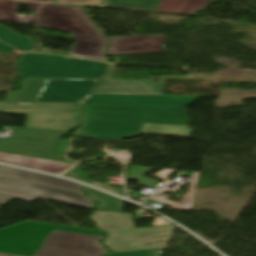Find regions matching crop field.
<instances>
[{
  "label": "crop field",
  "mask_w": 256,
  "mask_h": 256,
  "mask_svg": "<svg viewBox=\"0 0 256 256\" xmlns=\"http://www.w3.org/2000/svg\"><path fill=\"white\" fill-rule=\"evenodd\" d=\"M58 2H65V3H78V4H92L98 5L100 0H57Z\"/></svg>",
  "instance_id": "4177f3b9"
},
{
  "label": "crop field",
  "mask_w": 256,
  "mask_h": 256,
  "mask_svg": "<svg viewBox=\"0 0 256 256\" xmlns=\"http://www.w3.org/2000/svg\"><path fill=\"white\" fill-rule=\"evenodd\" d=\"M22 55L18 61L20 78L99 79L108 65L58 55Z\"/></svg>",
  "instance_id": "f4fd0767"
},
{
  "label": "crop field",
  "mask_w": 256,
  "mask_h": 256,
  "mask_svg": "<svg viewBox=\"0 0 256 256\" xmlns=\"http://www.w3.org/2000/svg\"><path fill=\"white\" fill-rule=\"evenodd\" d=\"M47 79H23V89L8 92L3 103L34 104Z\"/></svg>",
  "instance_id": "22f410ed"
},
{
  "label": "crop field",
  "mask_w": 256,
  "mask_h": 256,
  "mask_svg": "<svg viewBox=\"0 0 256 256\" xmlns=\"http://www.w3.org/2000/svg\"><path fill=\"white\" fill-rule=\"evenodd\" d=\"M36 1H49V2H54V0H36Z\"/></svg>",
  "instance_id": "bd1437ed"
},
{
  "label": "crop field",
  "mask_w": 256,
  "mask_h": 256,
  "mask_svg": "<svg viewBox=\"0 0 256 256\" xmlns=\"http://www.w3.org/2000/svg\"><path fill=\"white\" fill-rule=\"evenodd\" d=\"M209 5V0H161L156 11L194 14Z\"/></svg>",
  "instance_id": "cbeb9de0"
},
{
  "label": "crop field",
  "mask_w": 256,
  "mask_h": 256,
  "mask_svg": "<svg viewBox=\"0 0 256 256\" xmlns=\"http://www.w3.org/2000/svg\"><path fill=\"white\" fill-rule=\"evenodd\" d=\"M14 51H15V50H14L13 47L8 46V45H6V44L0 42V52L12 53V52H14Z\"/></svg>",
  "instance_id": "eef30255"
},
{
  "label": "crop field",
  "mask_w": 256,
  "mask_h": 256,
  "mask_svg": "<svg viewBox=\"0 0 256 256\" xmlns=\"http://www.w3.org/2000/svg\"><path fill=\"white\" fill-rule=\"evenodd\" d=\"M71 164L70 162L61 163L40 159L35 169L57 174Z\"/></svg>",
  "instance_id": "dafd665d"
},
{
  "label": "crop field",
  "mask_w": 256,
  "mask_h": 256,
  "mask_svg": "<svg viewBox=\"0 0 256 256\" xmlns=\"http://www.w3.org/2000/svg\"><path fill=\"white\" fill-rule=\"evenodd\" d=\"M160 0H101L99 6L155 11Z\"/></svg>",
  "instance_id": "5142ce71"
},
{
  "label": "crop field",
  "mask_w": 256,
  "mask_h": 256,
  "mask_svg": "<svg viewBox=\"0 0 256 256\" xmlns=\"http://www.w3.org/2000/svg\"><path fill=\"white\" fill-rule=\"evenodd\" d=\"M190 132L191 130L188 127L152 125L144 123L141 133L189 137Z\"/></svg>",
  "instance_id": "bc2a9ffb"
},
{
  "label": "crop field",
  "mask_w": 256,
  "mask_h": 256,
  "mask_svg": "<svg viewBox=\"0 0 256 256\" xmlns=\"http://www.w3.org/2000/svg\"><path fill=\"white\" fill-rule=\"evenodd\" d=\"M145 117L85 112L74 136L121 140L140 134Z\"/></svg>",
  "instance_id": "dd49c442"
},
{
  "label": "crop field",
  "mask_w": 256,
  "mask_h": 256,
  "mask_svg": "<svg viewBox=\"0 0 256 256\" xmlns=\"http://www.w3.org/2000/svg\"><path fill=\"white\" fill-rule=\"evenodd\" d=\"M113 65L110 64V68L108 70L107 76L105 79H112Z\"/></svg>",
  "instance_id": "d3111659"
},
{
  "label": "crop field",
  "mask_w": 256,
  "mask_h": 256,
  "mask_svg": "<svg viewBox=\"0 0 256 256\" xmlns=\"http://www.w3.org/2000/svg\"><path fill=\"white\" fill-rule=\"evenodd\" d=\"M67 131L15 128L12 137L59 140Z\"/></svg>",
  "instance_id": "4a817a6b"
},
{
  "label": "crop field",
  "mask_w": 256,
  "mask_h": 256,
  "mask_svg": "<svg viewBox=\"0 0 256 256\" xmlns=\"http://www.w3.org/2000/svg\"><path fill=\"white\" fill-rule=\"evenodd\" d=\"M77 170H78V168L74 167L73 169H71L69 172H67L63 176L71 178V179H74V180H78V181L87 183V179H85L81 174H79L78 173L79 171L77 172Z\"/></svg>",
  "instance_id": "a9b5d70f"
},
{
  "label": "crop field",
  "mask_w": 256,
  "mask_h": 256,
  "mask_svg": "<svg viewBox=\"0 0 256 256\" xmlns=\"http://www.w3.org/2000/svg\"><path fill=\"white\" fill-rule=\"evenodd\" d=\"M83 191L98 202L97 210L121 212L122 200H119L120 198H114L90 187H85Z\"/></svg>",
  "instance_id": "d9b57169"
},
{
  "label": "crop field",
  "mask_w": 256,
  "mask_h": 256,
  "mask_svg": "<svg viewBox=\"0 0 256 256\" xmlns=\"http://www.w3.org/2000/svg\"><path fill=\"white\" fill-rule=\"evenodd\" d=\"M91 219L108 233L103 242L114 252L167 247L166 244L147 245L153 238L173 236L174 225L135 229L131 216L124 213L96 211Z\"/></svg>",
  "instance_id": "412701ff"
},
{
  "label": "crop field",
  "mask_w": 256,
  "mask_h": 256,
  "mask_svg": "<svg viewBox=\"0 0 256 256\" xmlns=\"http://www.w3.org/2000/svg\"><path fill=\"white\" fill-rule=\"evenodd\" d=\"M102 238L103 233L96 230L25 221L0 230V252L24 256H100L108 253L99 244Z\"/></svg>",
  "instance_id": "8a807250"
},
{
  "label": "crop field",
  "mask_w": 256,
  "mask_h": 256,
  "mask_svg": "<svg viewBox=\"0 0 256 256\" xmlns=\"http://www.w3.org/2000/svg\"><path fill=\"white\" fill-rule=\"evenodd\" d=\"M69 145H70V142H61L59 147H58V151L63 152V153H67Z\"/></svg>",
  "instance_id": "ae1a2a85"
},
{
  "label": "crop field",
  "mask_w": 256,
  "mask_h": 256,
  "mask_svg": "<svg viewBox=\"0 0 256 256\" xmlns=\"http://www.w3.org/2000/svg\"><path fill=\"white\" fill-rule=\"evenodd\" d=\"M0 41L23 51H34L29 38L14 34L7 28L0 26Z\"/></svg>",
  "instance_id": "214f88e0"
},
{
  "label": "crop field",
  "mask_w": 256,
  "mask_h": 256,
  "mask_svg": "<svg viewBox=\"0 0 256 256\" xmlns=\"http://www.w3.org/2000/svg\"><path fill=\"white\" fill-rule=\"evenodd\" d=\"M17 2L25 3L36 10L33 17L21 16L14 13ZM47 3L17 1V0H0V20L31 22L37 24Z\"/></svg>",
  "instance_id": "d1516ede"
},
{
  "label": "crop field",
  "mask_w": 256,
  "mask_h": 256,
  "mask_svg": "<svg viewBox=\"0 0 256 256\" xmlns=\"http://www.w3.org/2000/svg\"><path fill=\"white\" fill-rule=\"evenodd\" d=\"M0 256H16V255H9V254H1L0 253Z\"/></svg>",
  "instance_id": "750c4746"
},
{
  "label": "crop field",
  "mask_w": 256,
  "mask_h": 256,
  "mask_svg": "<svg viewBox=\"0 0 256 256\" xmlns=\"http://www.w3.org/2000/svg\"><path fill=\"white\" fill-rule=\"evenodd\" d=\"M36 106H77L76 103H37Z\"/></svg>",
  "instance_id": "730fd06b"
},
{
  "label": "crop field",
  "mask_w": 256,
  "mask_h": 256,
  "mask_svg": "<svg viewBox=\"0 0 256 256\" xmlns=\"http://www.w3.org/2000/svg\"><path fill=\"white\" fill-rule=\"evenodd\" d=\"M37 26L72 32L79 40L71 56L108 62L103 52L109 42L81 7L48 3Z\"/></svg>",
  "instance_id": "34b2d1b8"
},
{
  "label": "crop field",
  "mask_w": 256,
  "mask_h": 256,
  "mask_svg": "<svg viewBox=\"0 0 256 256\" xmlns=\"http://www.w3.org/2000/svg\"><path fill=\"white\" fill-rule=\"evenodd\" d=\"M82 185L0 165V204L13 198L32 202L39 198L93 209L95 203L80 194Z\"/></svg>",
  "instance_id": "ac0d7876"
},
{
  "label": "crop field",
  "mask_w": 256,
  "mask_h": 256,
  "mask_svg": "<svg viewBox=\"0 0 256 256\" xmlns=\"http://www.w3.org/2000/svg\"><path fill=\"white\" fill-rule=\"evenodd\" d=\"M107 55L166 52L165 35L110 38Z\"/></svg>",
  "instance_id": "3316defc"
},
{
  "label": "crop field",
  "mask_w": 256,
  "mask_h": 256,
  "mask_svg": "<svg viewBox=\"0 0 256 256\" xmlns=\"http://www.w3.org/2000/svg\"><path fill=\"white\" fill-rule=\"evenodd\" d=\"M167 82L99 80L91 94L161 95Z\"/></svg>",
  "instance_id": "28ad6ade"
},
{
  "label": "crop field",
  "mask_w": 256,
  "mask_h": 256,
  "mask_svg": "<svg viewBox=\"0 0 256 256\" xmlns=\"http://www.w3.org/2000/svg\"><path fill=\"white\" fill-rule=\"evenodd\" d=\"M97 80L48 79L37 102H76L85 97Z\"/></svg>",
  "instance_id": "5a996713"
},
{
  "label": "crop field",
  "mask_w": 256,
  "mask_h": 256,
  "mask_svg": "<svg viewBox=\"0 0 256 256\" xmlns=\"http://www.w3.org/2000/svg\"><path fill=\"white\" fill-rule=\"evenodd\" d=\"M39 159L0 153V162L34 169Z\"/></svg>",
  "instance_id": "92a150f3"
},
{
  "label": "crop field",
  "mask_w": 256,
  "mask_h": 256,
  "mask_svg": "<svg viewBox=\"0 0 256 256\" xmlns=\"http://www.w3.org/2000/svg\"><path fill=\"white\" fill-rule=\"evenodd\" d=\"M198 176H199V173L193 172L190 189H189L188 193L186 195H184L180 204L171 202V201H167V199L170 198V196L165 195V194H159L151 199L171 205L172 208L170 210H190L191 203H192V197H193L194 189L196 187V181L198 179Z\"/></svg>",
  "instance_id": "733c2abd"
},
{
  "label": "crop field",
  "mask_w": 256,
  "mask_h": 256,
  "mask_svg": "<svg viewBox=\"0 0 256 256\" xmlns=\"http://www.w3.org/2000/svg\"><path fill=\"white\" fill-rule=\"evenodd\" d=\"M160 249L113 253L109 256H159Z\"/></svg>",
  "instance_id": "00972430"
},
{
  "label": "crop field",
  "mask_w": 256,
  "mask_h": 256,
  "mask_svg": "<svg viewBox=\"0 0 256 256\" xmlns=\"http://www.w3.org/2000/svg\"><path fill=\"white\" fill-rule=\"evenodd\" d=\"M199 98L183 96L89 95L79 103L185 107Z\"/></svg>",
  "instance_id": "d8731c3e"
},
{
  "label": "crop field",
  "mask_w": 256,
  "mask_h": 256,
  "mask_svg": "<svg viewBox=\"0 0 256 256\" xmlns=\"http://www.w3.org/2000/svg\"><path fill=\"white\" fill-rule=\"evenodd\" d=\"M85 111L147 115L146 123L187 126L184 108L84 105Z\"/></svg>",
  "instance_id": "e52e79f7"
}]
</instances>
